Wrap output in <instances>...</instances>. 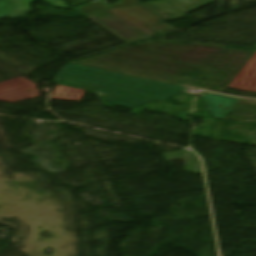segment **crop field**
I'll list each match as a JSON object with an SVG mask.
<instances>
[{
    "mask_svg": "<svg viewBox=\"0 0 256 256\" xmlns=\"http://www.w3.org/2000/svg\"><path fill=\"white\" fill-rule=\"evenodd\" d=\"M140 2L138 0H119L118 3L111 6L112 8L115 7H121V6H127V5H133V4H139Z\"/></svg>",
    "mask_w": 256,
    "mask_h": 256,
    "instance_id": "obj_3",
    "label": "crop field"
},
{
    "mask_svg": "<svg viewBox=\"0 0 256 256\" xmlns=\"http://www.w3.org/2000/svg\"><path fill=\"white\" fill-rule=\"evenodd\" d=\"M109 5H105L102 1L97 0L89 5L76 9V11L82 13L83 15L91 14L97 11L110 9Z\"/></svg>",
    "mask_w": 256,
    "mask_h": 256,
    "instance_id": "obj_2",
    "label": "crop field"
},
{
    "mask_svg": "<svg viewBox=\"0 0 256 256\" xmlns=\"http://www.w3.org/2000/svg\"><path fill=\"white\" fill-rule=\"evenodd\" d=\"M109 11L115 13L116 15L122 17L153 36L161 34L153 28L168 21V19L161 14L142 4L110 9Z\"/></svg>",
    "mask_w": 256,
    "mask_h": 256,
    "instance_id": "obj_1",
    "label": "crop field"
}]
</instances>
